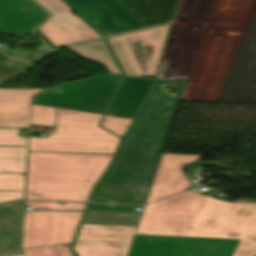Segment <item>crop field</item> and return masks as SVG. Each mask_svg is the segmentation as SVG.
<instances>
[{
	"label": "crop field",
	"mask_w": 256,
	"mask_h": 256,
	"mask_svg": "<svg viewBox=\"0 0 256 256\" xmlns=\"http://www.w3.org/2000/svg\"><path fill=\"white\" fill-rule=\"evenodd\" d=\"M136 234L241 239L233 256H256V204L188 192L147 205Z\"/></svg>",
	"instance_id": "obj_1"
},
{
	"label": "crop field",
	"mask_w": 256,
	"mask_h": 256,
	"mask_svg": "<svg viewBox=\"0 0 256 256\" xmlns=\"http://www.w3.org/2000/svg\"><path fill=\"white\" fill-rule=\"evenodd\" d=\"M113 156L29 152L26 200L87 201Z\"/></svg>",
	"instance_id": "obj_2"
},
{
	"label": "crop field",
	"mask_w": 256,
	"mask_h": 256,
	"mask_svg": "<svg viewBox=\"0 0 256 256\" xmlns=\"http://www.w3.org/2000/svg\"><path fill=\"white\" fill-rule=\"evenodd\" d=\"M164 145L123 140L91 201L143 204Z\"/></svg>",
	"instance_id": "obj_3"
},
{
	"label": "crop field",
	"mask_w": 256,
	"mask_h": 256,
	"mask_svg": "<svg viewBox=\"0 0 256 256\" xmlns=\"http://www.w3.org/2000/svg\"><path fill=\"white\" fill-rule=\"evenodd\" d=\"M102 116L57 108V134L30 137L29 151L115 154L121 139L99 126Z\"/></svg>",
	"instance_id": "obj_4"
},
{
	"label": "crop field",
	"mask_w": 256,
	"mask_h": 256,
	"mask_svg": "<svg viewBox=\"0 0 256 256\" xmlns=\"http://www.w3.org/2000/svg\"><path fill=\"white\" fill-rule=\"evenodd\" d=\"M172 24L108 38L126 76H155Z\"/></svg>",
	"instance_id": "obj_5"
},
{
	"label": "crop field",
	"mask_w": 256,
	"mask_h": 256,
	"mask_svg": "<svg viewBox=\"0 0 256 256\" xmlns=\"http://www.w3.org/2000/svg\"><path fill=\"white\" fill-rule=\"evenodd\" d=\"M186 80H157L141 111L123 139L165 143ZM179 84V93L168 95L161 87Z\"/></svg>",
	"instance_id": "obj_6"
},
{
	"label": "crop field",
	"mask_w": 256,
	"mask_h": 256,
	"mask_svg": "<svg viewBox=\"0 0 256 256\" xmlns=\"http://www.w3.org/2000/svg\"><path fill=\"white\" fill-rule=\"evenodd\" d=\"M84 212L25 211L21 249L71 243Z\"/></svg>",
	"instance_id": "obj_7"
},
{
	"label": "crop field",
	"mask_w": 256,
	"mask_h": 256,
	"mask_svg": "<svg viewBox=\"0 0 256 256\" xmlns=\"http://www.w3.org/2000/svg\"><path fill=\"white\" fill-rule=\"evenodd\" d=\"M238 242L136 236L130 256H232Z\"/></svg>",
	"instance_id": "obj_8"
},
{
	"label": "crop field",
	"mask_w": 256,
	"mask_h": 256,
	"mask_svg": "<svg viewBox=\"0 0 256 256\" xmlns=\"http://www.w3.org/2000/svg\"><path fill=\"white\" fill-rule=\"evenodd\" d=\"M136 228L82 224L74 250L78 256H127Z\"/></svg>",
	"instance_id": "obj_9"
},
{
	"label": "crop field",
	"mask_w": 256,
	"mask_h": 256,
	"mask_svg": "<svg viewBox=\"0 0 256 256\" xmlns=\"http://www.w3.org/2000/svg\"><path fill=\"white\" fill-rule=\"evenodd\" d=\"M49 11L51 17L37 29L56 47L101 36L62 0H35Z\"/></svg>",
	"instance_id": "obj_10"
},
{
	"label": "crop field",
	"mask_w": 256,
	"mask_h": 256,
	"mask_svg": "<svg viewBox=\"0 0 256 256\" xmlns=\"http://www.w3.org/2000/svg\"><path fill=\"white\" fill-rule=\"evenodd\" d=\"M200 158L194 155L163 154L147 203L188 191L187 188L192 184L181 169Z\"/></svg>",
	"instance_id": "obj_11"
},
{
	"label": "crop field",
	"mask_w": 256,
	"mask_h": 256,
	"mask_svg": "<svg viewBox=\"0 0 256 256\" xmlns=\"http://www.w3.org/2000/svg\"><path fill=\"white\" fill-rule=\"evenodd\" d=\"M28 143L19 129H0V173H26Z\"/></svg>",
	"instance_id": "obj_12"
},
{
	"label": "crop field",
	"mask_w": 256,
	"mask_h": 256,
	"mask_svg": "<svg viewBox=\"0 0 256 256\" xmlns=\"http://www.w3.org/2000/svg\"><path fill=\"white\" fill-rule=\"evenodd\" d=\"M23 203L0 205V256L21 254Z\"/></svg>",
	"instance_id": "obj_13"
},
{
	"label": "crop field",
	"mask_w": 256,
	"mask_h": 256,
	"mask_svg": "<svg viewBox=\"0 0 256 256\" xmlns=\"http://www.w3.org/2000/svg\"><path fill=\"white\" fill-rule=\"evenodd\" d=\"M69 48L83 57L104 65L111 74L122 75L103 39Z\"/></svg>",
	"instance_id": "obj_14"
},
{
	"label": "crop field",
	"mask_w": 256,
	"mask_h": 256,
	"mask_svg": "<svg viewBox=\"0 0 256 256\" xmlns=\"http://www.w3.org/2000/svg\"><path fill=\"white\" fill-rule=\"evenodd\" d=\"M41 90L0 89V112H30L31 98Z\"/></svg>",
	"instance_id": "obj_15"
},
{
	"label": "crop field",
	"mask_w": 256,
	"mask_h": 256,
	"mask_svg": "<svg viewBox=\"0 0 256 256\" xmlns=\"http://www.w3.org/2000/svg\"><path fill=\"white\" fill-rule=\"evenodd\" d=\"M139 214L87 211L83 223L135 226Z\"/></svg>",
	"instance_id": "obj_16"
},
{
	"label": "crop field",
	"mask_w": 256,
	"mask_h": 256,
	"mask_svg": "<svg viewBox=\"0 0 256 256\" xmlns=\"http://www.w3.org/2000/svg\"><path fill=\"white\" fill-rule=\"evenodd\" d=\"M70 244L22 249L25 254L16 256H73Z\"/></svg>",
	"instance_id": "obj_17"
},
{
	"label": "crop field",
	"mask_w": 256,
	"mask_h": 256,
	"mask_svg": "<svg viewBox=\"0 0 256 256\" xmlns=\"http://www.w3.org/2000/svg\"><path fill=\"white\" fill-rule=\"evenodd\" d=\"M56 108L33 106L30 125L55 126Z\"/></svg>",
	"instance_id": "obj_18"
},
{
	"label": "crop field",
	"mask_w": 256,
	"mask_h": 256,
	"mask_svg": "<svg viewBox=\"0 0 256 256\" xmlns=\"http://www.w3.org/2000/svg\"><path fill=\"white\" fill-rule=\"evenodd\" d=\"M86 203L65 202L61 205L56 202H27L26 207H33V210H84Z\"/></svg>",
	"instance_id": "obj_19"
},
{
	"label": "crop field",
	"mask_w": 256,
	"mask_h": 256,
	"mask_svg": "<svg viewBox=\"0 0 256 256\" xmlns=\"http://www.w3.org/2000/svg\"><path fill=\"white\" fill-rule=\"evenodd\" d=\"M30 113H0V127H29Z\"/></svg>",
	"instance_id": "obj_20"
},
{
	"label": "crop field",
	"mask_w": 256,
	"mask_h": 256,
	"mask_svg": "<svg viewBox=\"0 0 256 256\" xmlns=\"http://www.w3.org/2000/svg\"><path fill=\"white\" fill-rule=\"evenodd\" d=\"M23 174H0V190L24 191Z\"/></svg>",
	"instance_id": "obj_21"
},
{
	"label": "crop field",
	"mask_w": 256,
	"mask_h": 256,
	"mask_svg": "<svg viewBox=\"0 0 256 256\" xmlns=\"http://www.w3.org/2000/svg\"><path fill=\"white\" fill-rule=\"evenodd\" d=\"M131 121L129 119L105 116L102 127L114 132L118 136H123Z\"/></svg>",
	"instance_id": "obj_22"
},
{
	"label": "crop field",
	"mask_w": 256,
	"mask_h": 256,
	"mask_svg": "<svg viewBox=\"0 0 256 256\" xmlns=\"http://www.w3.org/2000/svg\"><path fill=\"white\" fill-rule=\"evenodd\" d=\"M134 208H141V206L90 203L88 209L140 212L134 211Z\"/></svg>",
	"instance_id": "obj_23"
},
{
	"label": "crop field",
	"mask_w": 256,
	"mask_h": 256,
	"mask_svg": "<svg viewBox=\"0 0 256 256\" xmlns=\"http://www.w3.org/2000/svg\"><path fill=\"white\" fill-rule=\"evenodd\" d=\"M24 192L0 191V203L23 199Z\"/></svg>",
	"instance_id": "obj_24"
}]
</instances>
